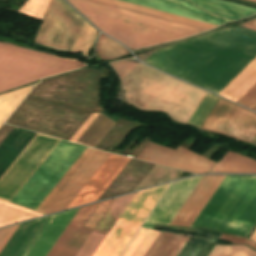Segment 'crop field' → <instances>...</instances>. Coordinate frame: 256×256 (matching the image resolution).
Segmentation results:
<instances>
[{
    "instance_id": "8a807250",
    "label": "crop field",
    "mask_w": 256,
    "mask_h": 256,
    "mask_svg": "<svg viewBox=\"0 0 256 256\" xmlns=\"http://www.w3.org/2000/svg\"><path fill=\"white\" fill-rule=\"evenodd\" d=\"M256 57V33L225 29L155 52L145 63L219 94Z\"/></svg>"
},
{
    "instance_id": "ac0d7876",
    "label": "crop field",
    "mask_w": 256,
    "mask_h": 256,
    "mask_svg": "<svg viewBox=\"0 0 256 256\" xmlns=\"http://www.w3.org/2000/svg\"><path fill=\"white\" fill-rule=\"evenodd\" d=\"M126 101L141 110L161 111L187 123L206 92L139 63L122 81Z\"/></svg>"
},
{
    "instance_id": "34b2d1b8",
    "label": "crop field",
    "mask_w": 256,
    "mask_h": 256,
    "mask_svg": "<svg viewBox=\"0 0 256 256\" xmlns=\"http://www.w3.org/2000/svg\"><path fill=\"white\" fill-rule=\"evenodd\" d=\"M67 1L100 30L131 49L203 32L83 0Z\"/></svg>"
},
{
    "instance_id": "412701ff",
    "label": "crop field",
    "mask_w": 256,
    "mask_h": 256,
    "mask_svg": "<svg viewBox=\"0 0 256 256\" xmlns=\"http://www.w3.org/2000/svg\"><path fill=\"white\" fill-rule=\"evenodd\" d=\"M256 224V176H226L191 226L247 237Z\"/></svg>"
},
{
    "instance_id": "f4fd0767",
    "label": "crop field",
    "mask_w": 256,
    "mask_h": 256,
    "mask_svg": "<svg viewBox=\"0 0 256 256\" xmlns=\"http://www.w3.org/2000/svg\"><path fill=\"white\" fill-rule=\"evenodd\" d=\"M83 66L75 60L0 43V92Z\"/></svg>"
},
{
    "instance_id": "dd49c442",
    "label": "crop field",
    "mask_w": 256,
    "mask_h": 256,
    "mask_svg": "<svg viewBox=\"0 0 256 256\" xmlns=\"http://www.w3.org/2000/svg\"><path fill=\"white\" fill-rule=\"evenodd\" d=\"M85 148L60 140L11 202L35 210Z\"/></svg>"
},
{
    "instance_id": "e52e79f7",
    "label": "crop field",
    "mask_w": 256,
    "mask_h": 256,
    "mask_svg": "<svg viewBox=\"0 0 256 256\" xmlns=\"http://www.w3.org/2000/svg\"><path fill=\"white\" fill-rule=\"evenodd\" d=\"M169 184L137 192L93 256H119Z\"/></svg>"
},
{
    "instance_id": "d8731c3e",
    "label": "crop field",
    "mask_w": 256,
    "mask_h": 256,
    "mask_svg": "<svg viewBox=\"0 0 256 256\" xmlns=\"http://www.w3.org/2000/svg\"><path fill=\"white\" fill-rule=\"evenodd\" d=\"M42 20L35 43L62 52L70 51L85 21L63 0H51Z\"/></svg>"
},
{
    "instance_id": "5a996713",
    "label": "crop field",
    "mask_w": 256,
    "mask_h": 256,
    "mask_svg": "<svg viewBox=\"0 0 256 256\" xmlns=\"http://www.w3.org/2000/svg\"><path fill=\"white\" fill-rule=\"evenodd\" d=\"M93 151L94 149H91L89 147L86 148V150L81 154V156L66 172V174L62 177V179L57 183V185L52 189V191L37 207L36 209L37 211L43 212L45 210V208L50 204V202L55 198V196L61 191V189L66 185V183L71 179V177L76 173V171L82 166V164L87 160V158L92 154ZM109 155L110 154H107L105 152L95 150L93 154L88 158V160L83 164V166L72 177V179L67 183V185L62 189V191L56 196V198L46 208L44 213L48 214L51 212L65 209L67 205L72 201V199L77 195V193L82 189V187L87 183V181L93 176V174L103 164V162L108 158Z\"/></svg>"
},
{
    "instance_id": "3316defc",
    "label": "crop field",
    "mask_w": 256,
    "mask_h": 256,
    "mask_svg": "<svg viewBox=\"0 0 256 256\" xmlns=\"http://www.w3.org/2000/svg\"><path fill=\"white\" fill-rule=\"evenodd\" d=\"M165 12L213 23L223 24L231 21L213 16L185 0H122ZM194 4L219 16L238 19L256 13V9L240 6L221 0H191Z\"/></svg>"
},
{
    "instance_id": "28ad6ade",
    "label": "crop field",
    "mask_w": 256,
    "mask_h": 256,
    "mask_svg": "<svg viewBox=\"0 0 256 256\" xmlns=\"http://www.w3.org/2000/svg\"><path fill=\"white\" fill-rule=\"evenodd\" d=\"M58 141L37 133L0 178V198L10 201Z\"/></svg>"
},
{
    "instance_id": "d1516ede",
    "label": "crop field",
    "mask_w": 256,
    "mask_h": 256,
    "mask_svg": "<svg viewBox=\"0 0 256 256\" xmlns=\"http://www.w3.org/2000/svg\"><path fill=\"white\" fill-rule=\"evenodd\" d=\"M114 200L79 208L47 256H75Z\"/></svg>"
},
{
    "instance_id": "22f410ed",
    "label": "crop field",
    "mask_w": 256,
    "mask_h": 256,
    "mask_svg": "<svg viewBox=\"0 0 256 256\" xmlns=\"http://www.w3.org/2000/svg\"><path fill=\"white\" fill-rule=\"evenodd\" d=\"M137 159L165 165L168 167L196 173H208L215 164L182 147L175 150L148 143Z\"/></svg>"
},
{
    "instance_id": "cbeb9de0",
    "label": "crop field",
    "mask_w": 256,
    "mask_h": 256,
    "mask_svg": "<svg viewBox=\"0 0 256 256\" xmlns=\"http://www.w3.org/2000/svg\"><path fill=\"white\" fill-rule=\"evenodd\" d=\"M201 178L202 176L173 182L143 227L151 229L154 224L169 225Z\"/></svg>"
},
{
    "instance_id": "5142ce71",
    "label": "crop field",
    "mask_w": 256,
    "mask_h": 256,
    "mask_svg": "<svg viewBox=\"0 0 256 256\" xmlns=\"http://www.w3.org/2000/svg\"><path fill=\"white\" fill-rule=\"evenodd\" d=\"M129 160L111 154L67 208L97 201Z\"/></svg>"
},
{
    "instance_id": "d9b57169",
    "label": "crop field",
    "mask_w": 256,
    "mask_h": 256,
    "mask_svg": "<svg viewBox=\"0 0 256 256\" xmlns=\"http://www.w3.org/2000/svg\"><path fill=\"white\" fill-rule=\"evenodd\" d=\"M224 178L203 176L170 225L190 226Z\"/></svg>"
},
{
    "instance_id": "733c2abd",
    "label": "crop field",
    "mask_w": 256,
    "mask_h": 256,
    "mask_svg": "<svg viewBox=\"0 0 256 256\" xmlns=\"http://www.w3.org/2000/svg\"><path fill=\"white\" fill-rule=\"evenodd\" d=\"M136 193L116 198L76 256H92Z\"/></svg>"
},
{
    "instance_id": "4a817a6b",
    "label": "crop field",
    "mask_w": 256,
    "mask_h": 256,
    "mask_svg": "<svg viewBox=\"0 0 256 256\" xmlns=\"http://www.w3.org/2000/svg\"><path fill=\"white\" fill-rule=\"evenodd\" d=\"M77 210L54 215L26 256H45Z\"/></svg>"
},
{
    "instance_id": "bc2a9ffb",
    "label": "crop field",
    "mask_w": 256,
    "mask_h": 256,
    "mask_svg": "<svg viewBox=\"0 0 256 256\" xmlns=\"http://www.w3.org/2000/svg\"><path fill=\"white\" fill-rule=\"evenodd\" d=\"M36 132L15 127L0 145V177L35 136Z\"/></svg>"
},
{
    "instance_id": "214f88e0",
    "label": "crop field",
    "mask_w": 256,
    "mask_h": 256,
    "mask_svg": "<svg viewBox=\"0 0 256 256\" xmlns=\"http://www.w3.org/2000/svg\"><path fill=\"white\" fill-rule=\"evenodd\" d=\"M256 83V58L219 94L237 102Z\"/></svg>"
},
{
    "instance_id": "92a150f3",
    "label": "crop field",
    "mask_w": 256,
    "mask_h": 256,
    "mask_svg": "<svg viewBox=\"0 0 256 256\" xmlns=\"http://www.w3.org/2000/svg\"><path fill=\"white\" fill-rule=\"evenodd\" d=\"M210 173H256V161L227 151Z\"/></svg>"
},
{
    "instance_id": "dafd665d",
    "label": "crop field",
    "mask_w": 256,
    "mask_h": 256,
    "mask_svg": "<svg viewBox=\"0 0 256 256\" xmlns=\"http://www.w3.org/2000/svg\"><path fill=\"white\" fill-rule=\"evenodd\" d=\"M188 238L160 232L144 256H177Z\"/></svg>"
},
{
    "instance_id": "00972430",
    "label": "crop field",
    "mask_w": 256,
    "mask_h": 256,
    "mask_svg": "<svg viewBox=\"0 0 256 256\" xmlns=\"http://www.w3.org/2000/svg\"><path fill=\"white\" fill-rule=\"evenodd\" d=\"M113 124L114 123L98 114L82 135L77 139L76 143L95 148Z\"/></svg>"
},
{
    "instance_id": "a9b5d70f",
    "label": "crop field",
    "mask_w": 256,
    "mask_h": 256,
    "mask_svg": "<svg viewBox=\"0 0 256 256\" xmlns=\"http://www.w3.org/2000/svg\"><path fill=\"white\" fill-rule=\"evenodd\" d=\"M44 215L0 200V227Z\"/></svg>"
},
{
    "instance_id": "4177f3b9",
    "label": "crop field",
    "mask_w": 256,
    "mask_h": 256,
    "mask_svg": "<svg viewBox=\"0 0 256 256\" xmlns=\"http://www.w3.org/2000/svg\"><path fill=\"white\" fill-rule=\"evenodd\" d=\"M39 220L40 219H36L20 224L1 251L0 256H14Z\"/></svg>"
},
{
    "instance_id": "730fd06b",
    "label": "crop field",
    "mask_w": 256,
    "mask_h": 256,
    "mask_svg": "<svg viewBox=\"0 0 256 256\" xmlns=\"http://www.w3.org/2000/svg\"><path fill=\"white\" fill-rule=\"evenodd\" d=\"M31 89L32 87L27 86L23 89L0 95V126Z\"/></svg>"
},
{
    "instance_id": "eef30255",
    "label": "crop field",
    "mask_w": 256,
    "mask_h": 256,
    "mask_svg": "<svg viewBox=\"0 0 256 256\" xmlns=\"http://www.w3.org/2000/svg\"><path fill=\"white\" fill-rule=\"evenodd\" d=\"M158 234L140 229L122 256H143Z\"/></svg>"
},
{
    "instance_id": "ae1a2a85",
    "label": "crop field",
    "mask_w": 256,
    "mask_h": 256,
    "mask_svg": "<svg viewBox=\"0 0 256 256\" xmlns=\"http://www.w3.org/2000/svg\"><path fill=\"white\" fill-rule=\"evenodd\" d=\"M97 31H95L86 21L70 51V53L78 54L83 52L84 56L88 55V49L93 44Z\"/></svg>"
},
{
    "instance_id": "d3111659",
    "label": "crop field",
    "mask_w": 256,
    "mask_h": 256,
    "mask_svg": "<svg viewBox=\"0 0 256 256\" xmlns=\"http://www.w3.org/2000/svg\"><path fill=\"white\" fill-rule=\"evenodd\" d=\"M97 52L103 60H110L128 54V51L125 48L102 34H100V42L97 47Z\"/></svg>"
},
{
    "instance_id": "750c4746",
    "label": "crop field",
    "mask_w": 256,
    "mask_h": 256,
    "mask_svg": "<svg viewBox=\"0 0 256 256\" xmlns=\"http://www.w3.org/2000/svg\"><path fill=\"white\" fill-rule=\"evenodd\" d=\"M102 1L117 4V5H121V6H125V7H129V8H132V9H136V10H140V11H144V12H148V13H152V14H156V15H159V16H163V17H167V18H171V19H175V20H179V21H182V22H186V23L206 27V28H209V29H212V28L216 27L215 25H211V24L191 20V19H188V18H184V17L164 13V12H161V11H157V10H153V9H149V8H145V7H141V6H137V5H134V4H130V3H126V2H122V1H118V0H102Z\"/></svg>"
},
{
    "instance_id": "bd1437ed",
    "label": "crop field",
    "mask_w": 256,
    "mask_h": 256,
    "mask_svg": "<svg viewBox=\"0 0 256 256\" xmlns=\"http://www.w3.org/2000/svg\"><path fill=\"white\" fill-rule=\"evenodd\" d=\"M217 100L218 97L207 93L199 107L196 109V111L188 121V124L200 128V126L204 122L205 118L207 117V115L209 114Z\"/></svg>"
},
{
    "instance_id": "1d83c4d3",
    "label": "crop field",
    "mask_w": 256,
    "mask_h": 256,
    "mask_svg": "<svg viewBox=\"0 0 256 256\" xmlns=\"http://www.w3.org/2000/svg\"><path fill=\"white\" fill-rule=\"evenodd\" d=\"M209 256H256V252L252 249L242 246H221L216 245Z\"/></svg>"
},
{
    "instance_id": "120bbe31",
    "label": "crop field",
    "mask_w": 256,
    "mask_h": 256,
    "mask_svg": "<svg viewBox=\"0 0 256 256\" xmlns=\"http://www.w3.org/2000/svg\"><path fill=\"white\" fill-rule=\"evenodd\" d=\"M52 217L53 215L41 218V220L38 222L34 230L31 232V234L26 239V241L24 242V244L22 245V247L19 249V251L15 256H25L28 253V251L30 250V248L32 247L34 242L37 240V238L39 237V235L44 230V228L46 227V225L48 224V222L51 220Z\"/></svg>"
},
{
    "instance_id": "d32e631a",
    "label": "crop field",
    "mask_w": 256,
    "mask_h": 256,
    "mask_svg": "<svg viewBox=\"0 0 256 256\" xmlns=\"http://www.w3.org/2000/svg\"><path fill=\"white\" fill-rule=\"evenodd\" d=\"M50 0H28L19 12L41 19Z\"/></svg>"
},
{
    "instance_id": "5866460e",
    "label": "crop field",
    "mask_w": 256,
    "mask_h": 256,
    "mask_svg": "<svg viewBox=\"0 0 256 256\" xmlns=\"http://www.w3.org/2000/svg\"><path fill=\"white\" fill-rule=\"evenodd\" d=\"M214 247L215 245H210L207 243L202 245L187 242L178 256H208Z\"/></svg>"
},
{
    "instance_id": "028f5c9d",
    "label": "crop field",
    "mask_w": 256,
    "mask_h": 256,
    "mask_svg": "<svg viewBox=\"0 0 256 256\" xmlns=\"http://www.w3.org/2000/svg\"><path fill=\"white\" fill-rule=\"evenodd\" d=\"M88 1L95 2V3H99V4H103V5H107V6H111V7H114V8H118V9H122V10L130 11V12H134V13H137V14H141V15H145V16H149V17L157 18V19H160V20H164V21H168V22H172V23L180 24V25H183V26H187V27H191V28H195V29H199V30H203V31L208 30V29H204V28H200V27L192 26V25H189V24H185V23H181V22L173 21V20H170V19H166V18H162V17L154 16V15H151V14H147V13H143V12H139V11L131 10V9H128V8H124V7H120V6L112 5V4L105 3V2H101V1H97V0H88Z\"/></svg>"
},
{
    "instance_id": "e1f06a70",
    "label": "crop field",
    "mask_w": 256,
    "mask_h": 256,
    "mask_svg": "<svg viewBox=\"0 0 256 256\" xmlns=\"http://www.w3.org/2000/svg\"><path fill=\"white\" fill-rule=\"evenodd\" d=\"M111 65L116 69L121 80H123L137 64L123 60L116 63H112Z\"/></svg>"
},
{
    "instance_id": "0bd39190",
    "label": "crop field",
    "mask_w": 256,
    "mask_h": 256,
    "mask_svg": "<svg viewBox=\"0 0 256 256\" xmlns=\"http://www.w3.org/2000/svg\"><path fill=\"white\" fill-rule=\"evenodd\" d=\"M238 103L250 109L256 104V84L238 101Z\"/></svg>"
},
{
    "instance_id": "b80d0937",
    "label": "crop field",
    "mask_w": 256,
    "mask_h": 256,
    "mask_svg": "<svg viewBox=\"0 0 256 256\" xmlns=\"http://www.w3.org/2000/svg\"><path fill=\"white\" fill-rule=\"evenodd\" d=\"M197 233L211 237L212 239L204 238V237H200V236H196V235L193 236L195 238H199V239H202V240H205L208 242H216L221 235L220 233L211 232V231H207V230H201V229H198Z\"/></svg>"
},
{
    "instance_id": "c035e120",
    "label": "crop field",
    "mask_w": 256,
    "mask_h": 256,
    "mask_svg": "<svg viewBox=\"0 0 256 256\" xmlns=\"http://www.w3.org/2000/svg\"><path fill=\"white\" fill-rule=\"evenodd\" d=\"M220 239H224V240H228L231 241L233 243H245L248 244L249 246L256 248V244L245 239V238H237V237H233L231 235H221Z\"/></svg>"
},
{
    "instance_id": "c21b1889",
    "label": "crop field",
    "mask_w": 256,
    "mask_h": 256,
    "mask_svg": "<svg viewBox=\"0 0 256 256\" xmlns=\"http://www.w3.org/2000/svg\"><path fill=\"white\" fill-rule=\"evenodd\" d=\"M97 114V113H96ZM96 114H91L89 118L83 123V125L78 129V131L73 135L70 141L75 142L76 139L80 136V134L84 131V129L88 126V124L92 121V119L96 116Z\"/></svg>"
},
{
    "instance_id": "03da06ac",
    "label": "crop field",
    "mask_w": 256,
    "mask_h": 256,
    "mask_svg": "<svg viewBox=\"0 0 256 256\" xmlns=\"http://www.w3.org/2000/svg\"><path fill=\"white\" fill-rule=\"evenodd\" d=\"M226 1L256 8V2H252L248 0H226Z\"/></svg>"
},
{
    "instance_id": "b54c1fbb",
    "label": "crop field",
    "mask_w": 256,
    "mask_h": 256,
    "mask_svg": "<svg viewBox=\"0 0 256 256\" xmlns=\"http://www.w3.org/2000/svg\"><path fill=\"white\" fill-rule=\"evenodd\" d=\"M19 225H15L13 226V228L10 230V232L8 233V235L5 237V239L3 240V242L0 245V251L2 250V248L4 247V245L7 243V241L9 240V238L12 236V234L14 233V231L16 230V228Z\"/></svg>"
},
{
    "instance_id": "5d738f31",
    "label": "crop field",
    "mask_w": 256,
    "mask_h": 256,
    "mask_svg": "<svg viewBox=\"0 0 256 256\" xmlns=\"http://www.w3.org/2000/svg\"><path fill=\"white\" fill-rule=\"evenodd\" d=\"M11 228L12 227H8L0 230V243L2 242V240L4 239V237L7 235V233Z\"/></svg>"
},
{
    "instance_id": "d23c7cc5",
    "label": "crop field",
    "mask_w": 256,
    "mask_h": 256,
    "mask_svg": "<svg viewBox=\"0 0 256 256\" xmlns=\"http://www.w3.org/2000/svg\"><path fill=\"white\" fill-rule=\"evenodd\" d=\"M242 26H245V27H248V28L256 30V19H254V20H252L250 22H247L245 24H242Z\"/></svg>"
},
{
    "instance_id": "425ffa30",
    "label": "crop field",
    "mask_w": 256,
    "mask_h": 256,
    "mask_svg": "<svg viewBox=\"0 0 256 256\" xmlns=\"http://www.w3.org/2000/svg\"><path fill=\"white\" fill-rule=\"evenodd\" d=\"M250 239H252V240L256 241V230H255V232L253 233V235L251 236V238H250Z\"/></svg>"
},
{
    "instance_id": "25e5ab78",
    "label": "crop field",
    "mask_w": 256,
    "mask_h": 256,
    "mask_svg": "<svg viewBox=\"0 0 256 256\" xmlns=\"http://www.w3.org/2000/svg\"><path fill=\"white\" fill-rule=\"evenodd\" d=\"M252 110L256 111V105L252 108Z\"/></svg>"
},
{
    "instance_id": "73cf0c24",
    "label": "crop field",
    "mask_w": 256,
    "mask_h": 256,
    "mask_svg": "<svg viewBox=\"0 0 256 256\" xmlns=\"http://www.w3.org/2000/svg\"><path fill=\"white\" fill-rule=\"evenodd\" d=\"M252 1H256V0H252Z\"/></svg>"
}]
</instances>
